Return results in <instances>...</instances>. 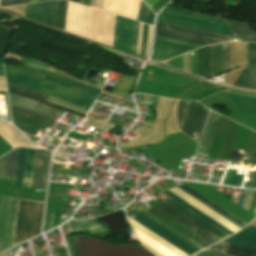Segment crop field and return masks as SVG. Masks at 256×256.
<instances>
[{
    "mask_svg": "<svg viewBox=\"0 0 256 256\" xmlns=\"http://www.w3.org/2000/svg\"><path fill=\"white\" fill-rule=\"evenodd\" d=\"M88 7L68 1L65 30L85 36ZM115 15L89 8L86 37L112 46Z\"/></svg>",
    "mask_w": 256,
    "mask_h": 256,
    "instance_id": "crop-field-1",
    "label": "crop field"
},
{
    "mask_svg": "<svg viewBox=\"0 0 256 256\" xmlns=\"http://www.w3.org/2000/svg\"><path fill=\"white\" fill-rule=\"evenodd\" d=\"M5 71L15 73V74H19V75H23V76H27V77H31V78H35V79H39V80L51 83L53 85H56V86H59V87H62V88H65V89H68V90H71V91L80 93L82 95H85V96L96 99V96L84 93L82 91H79V90H76V89L58 84V83H55L53 81H50V80H47V79H44V78H41V77H37V76H33V75H29V74H25V73H21V72H17V71H13V70L6 69V68H5ZM7 72H5L6 80H7V83H9V84H14V85H18V86H22V87H26V88L36 90L38 92H41V93H44L46 95L55 97L57 99H60V100H63L65 102L74 104L76 106L82 107V108L87 109V110H89V108L91 107V105L94 101V99L82 96L80 94H77V93H74V92L56 87V86H53V85L45 83V82L35 80V79H31V78H27V77H23V76H19V75H15V74H11V73H7Z\"/></svg>",
    "mask_w": 256,
    "mask_h": 256,
    "instance_id": "crop-field-2",
    "label": "crop field"
},
{
    "mask_svg": "<svg viewBox=\"0 0 256 256\" xmlns=\"http://www.w3.org/2000/svg\"><path fill=\"white\" fill-rule=\"evenodd\" d=\"M146 211H148L155 217L159 218L160 220H162L163 222H165L166 224H168L178 232L182 233L189 239H192L197 229L216 241L220 240L218 237L211 234L210 232H208L201 226L197 225L196 223H194L193 221L183 216L182 214H180L179 212H177L176 210L169 207L163 202L157 204L156 206ZM199 231H196L192 241H194L201 247L205 248L216 242Z\"/></svg>",
    "mask_w": 256,
    "mask_h": 256,
    "instance_id": "crop-field-3",
    "label": "crop field"
},
{
    "mask_svg": "<svg viewBox=\"0 0 256 256\" xmlns=\"http://www.w3.org/2000/svg\"><path fill=\"white\" fill-rule=\"evenodd\" d=\"M44 203L19 200L12 246L40 233Z\"/></svg>",
    "mask_w": 256,
    "mask_h": 256,
    "instance_id": "crop-field-4",
    "label": "crop field"
},
{
    "mask_svg": "<svg viewBox=\"0 0 256 256\" xmlns=\"http://www.w3.org/2000/svg\"><path fill=\"white\" fill-rule=\"evenodd\" d=\"M178 188L181 189L182 191L186 192L187 194H189L190 196H192L199 202L203 203L204 205H206L213 211L217 212L218 214H220L221 216H223L230 222L234 223L238 227L241 228L244 225H246L243 222H241L240 220H238L237 218H235L234 216H232L231 214H229L228 212H226L225 210H223L222 208H220L219 206L215 205L214 203H212L211 201H209L208 199H206L205 197H203L202 195H200L199 193H197L196 191H194L193 189L188 187L187 185L183 184L181 186H178ZM178 188L174 187L169 190L171 192H173L174 194H176L177 196H179L180 198H182L183 200H185L188 203H190L191 205H193L194 207H196L197 209H199L200 211H202L203 213H205L206 215H208L209 217H211L212 219H214L215 221L222 224L223 226H225L232 232L235 233L237 230L240 229L237 226H235L234 224H232L229 221H227L226 219H224L223 217H221L220 215H218L217 213L213 212L212 210H210L209 208L204 206L203 204L199 203L198 201H196L195 199H193L186 193L182 192Z\"/></svg>",
    "mask_w": 256,
    "mask_h": 256,
    "instance_id": "crop-field-5",
    "label": "crop field"
},
{
    "mask_svg": "<svg viewBox=\"0 0 256 256\" xmlns=\"http://www.w3.org/2000/svg\"><path fill=\"white\" fill-rule=\"evenodd\" d=\"M209 110L197 102L181 100L177 118L181 130L199 140Z\"/></svg>",
    "mask_w": 256,
    "mask_h": 256,
    "instance_id": "crop-field-6",
    "label": "crop field"
},
{
    "mask_svg": "<svg viewBox=\"0 0 256 256\" xmlns=\"http://www.w3.org/2000/svg\"><path fill=\"white\" fill-rule=\"evenodd\" d=\"M20 62L26 67V68H22V67H18V66H14V65H10V64H6L4 63V66L6 68H10V69H14V70H18V71H22V72H26V73H30V74H34V75H38V76H42L48 79H51L53 81L74 87L76 89L88 92L90 94L96 95L98 96V94L100 93L101 90L99 89H95L93 87L84 85L82 83H79L73 79H71L70 77L64 75L63 73L57 71L56 69L47 66V65H43L40 63H36L33 61H29L26 59H20Z\"/></svg>",
    "mask_w": 256,
    "mask_h": 256,
    "instance_id": "crop-field-7",
    "label": "crop field"
},
{
    "mask_svg": "<svg viewBox=\"0 0 256 256\" xmlns=\"http://www.w3.org/2000/svg\"><path fill=\"white\" fill-rule=\"evenodd\" d=\"M224 241L231 242L240 246L256 250V228L247 225L235 235L225 239ZM221 241L208 249L224 242ZM223 243L211 250L218 251L231 256H256V251L244 247H240L230 243Z\"/></svg>",
    "mask_w": 256,
    "mask_h": 256,
    "instance_id": "crop-field-8",
    "label": "crop field"
},
{
    "mask_svg": "<svg viewBox=\"0 0 256 256\" xmlns=\"http://www.w3.org/2000/svg\"><path fill=\"white\" fill-rule=\"evenodd\" d=\"M155 34L165 35L176 37L188 41H193L205 45L225 42V41H239L236 39H230L225 37H220L208 33L198 32L194 30L164 25V24H156Z\"/></svg>",
    "mask_w": 256,
    "mask_h": 256,
    "instance_id": "crop-field-9",
    "label": "crop field"
},
{
    "mask_svg": "<svg viewBox=\"0 0 256 256\" xmlns=\"http://www.w3.org/2000/svg\"><path fill=\"white\" fill-rule=\"evenodd\" d=\"M0 198H4V197H0ZM4 199H10V198H4ZM4 199H1V202H0V251L3 250V242H4V236H5V234H3V230H4L5 219H15L17 203H18V200L12 201L15 199H12V200H4ZM14 224H15V220H6L5 230H4V233H6L4 249L11 247Z\"/></svg>",
    "mask_w": 256,
    "mask_h": 256,
    "instance_id": "crop-field-10",
    "label": "crop field"
},
{
    "mask_svg": "<svg viewBox=\"0 0 256 256\" xmlns=\"http://www.w3.org/2000/svg\"><path fill=\"white\" fill-rule=\"evenodd\" d=\"M136 214L138 216L133 219H135L139 223L143 224L144 226H146L147 228H149L150 230H152L159 236L163 237L164 239H166L167 241H169L170 243H172L179 249L183 250L187 254L191 255V254L199 251L196 248H194L193 246H191L188 243H186L185 241H183L182 239H180L179 237L175 236L174 234H172L171 232L166 230L165 228H163L162 226L158 225L157 223H155L148 217L144 216L140 212H137Z\"/></svg>",
    "mask_w": 256,
    "mask_h": 256,
    "instance_id": "crop-field-11",
    "label": "crop field"
},
{
    "mask_svg": "<svg viewBox=\"0 0 256 256\" xmlns=\"http://www.w3.org/2000/svg\"><path fill=\"white\" fill-rule=\"evenodd\" d=\"M50 157V153L36 149L31 187L46 189Z\"/></svg>",
    "mask_w": 256,
    "mask_h": 256,
    "instance_id": "crop-field-12",
    "label": "crop field"
},
{
    "mask_svg": "<svg viewBox=\"0 0 256 256\" xmlns=\"http://www.w3.org/2000/svg\"><path fill=\"white\" fill-rule=\"evenodd\" d=\"M7 86H8V93H10V94H14V95H19V96L27 97V98L33 99V100H35V101H38V102L47 104V105H49V106H52V107L61 109V110H63V111H66V112L75 114V115H77V116L83 117V118L85 117V114H87V113H86L87 110H84V109H82V108H79V107L70 105V104H68V103H65V102H62V101H59V100H56V99L51 98V97H50V99H53V100H55V101H58V102L67 104V105H69V106H72V107L81 109V110L86 111V112H83V111H81V110H78V109L69 107V106H67V105H64V104H61V103H58V102H55V101L50 100V99H48V101H51V102L57 103V104H59V105H62V106H65V107H68V108L77 110V111L82 112V113H85V114H82V113L76 112V111H74V110H71V109H68V108H65V107L56 105V104H54V103H51V102H48V101H45V100H42V99H40V98L43 96V94L38 93V92H35V91H33V90H29V89L21 88V87H16V86L8 85V84H7Z\"/></svg>",
    "mask_w": 256,
    "mask_h": 256,
    "instance_id": "crop-field-13",
    "label": "crop field"
},
{
    "mask_svg": "<svg viewBox=\"0 0 256 256\" xmlns=\"http://www.w3.org/2000/svg\"><path fill=\"white\" fill-rule=\"evenodd\" d=\"M57 0L27 4L26 16L54 26Z\"/></svg>",
    "mask_w": 256,
    "mask_h": 256,
    "instance_id": "crop-field-14",
    "label": "crop field"
},
{
    "mask_svg": "<svg viewBox=\"0 0 256 256\" xmlns=\"http://www.w3.org/2000/svg\"><path fill=\"white\" fill-rule=\"evenodd\" d=\"M211 112L209 113L204 131H203V135L196 153L199 155H205V156L208 155L212 140L214 138V135L219 123L220 115L217 116L218 114L215 115L216 113L213 114L214 112L213 113Z\"/></svg>",
    "mask_w": 256,
    "mask_h": 256,
    "instance_id": "crop-field-15",
    "label": "crop field"
},
{
    "mask_svg": "<svg viewBox=\"0 0 256 256\" xmlns=\"http://www.w3.org/2000/svg\"><path fill=\"white\" fill-rule=\"evenodd\" d=\"M9 96V102L11 105L42 114L48 117H52V115L55 113L56 109H53L51 107L45 106L43 104L37 103L35 101L29 100L27 98L19 97L10 95Z\"/></svg>",
    "mask_w": 256,
    "mask_h": 256,
    "instance_id": "crop-field-16",
    "label": "crop field"
},
{
    "mask_svg": "<svg viewBox=\"0 0 256 256\" xmlns=\"http://www.w3.org/2000/svg\"><path fill=\"white\" fill-rule=\"evenodd\" d=\"M232 95L238 108L245 116L249 126L256 129V98Z\"/></svg>",
    "mask_w": 256,
    "mask_h": 256,
    "instance_id": "crop-field-17",
    "label": "crop field"
},
{
    "mask_svg": "<svg viewBox=\"0 0 256 256\" xmlns=\"http://www.w3.org/2000/svg\"><path fill=\"white\" fill-rule=\"evenodd\" d=\"M0 136L13 148L16 146L34 147L13 126L3 120H0Z\"/></svg>",
    "mask_w": 256,
    "mask_h": 256,
    "instance_id": "crop-field-18",
    "label": "crop field"
},
{
    "mask_svg": "<svg viewBox=\"0 0 256 256\" xmlns=\"http://www.w3.org/2000/svg\"><path fill=\"white\" fill-rule=\"evenodd\" d=\"M164 202H166L167 204H169L170 206H172L176 210L180 211L181 213H183L184 215H186L187 217H189L190 219H192L193 221H195L196 223H198L199 225H201L205 229L209 230L210 232H212L213 234L218 236L219 238L222 239V238L228 236L225 233H223L222 231H220L217 228H215L214 226H212L211 224H209L208 222L204 221L203 219H201L200 217L195 215L194 213L190 212L189 210H187L186 208H184L180 204L176 203L172 199L169 198V199L165 200Z\"/></svg>",
    "mask_w": 256,
    "mask_h": 256,
    "instance_id": "crop-field-19",
    "label": "crop field"
},
{
    "mask_svg": "<svg viewBox=\"0 0 256 256\" xmlns=\"http://www.w3.org/2000/svg\"><path fill=\"white\" fill-rule=\"evenodd\" d=\"M17 151L18 148L0 158V178L14 180Z\"/></svg>",
    "mask_w": 256,
    "mask_h": 256,
    "instance_id": "crop-field-20",
    "label": "crop field"
},
{
    "mask_svg": "<svg viewBox=\"0 0 256 256\" xmlns=\"http://www.w3.org/2000/svg\"><path fill=\"white\" fill-rule=\"evenodd\" d=\"M232 30L236 33L241 41L256 42V33L249 26L248 23H237L227 21Z\"/></svg>",
    "mask_w": 256,
    "mask_h": 256,
    "instance_id": "crop-field-21",
    "label": "crop field"
},
{
    "mask_svg": "<svg viewBox=\"0 0 256 256\" xmlns=\"http://www.w3.org/2000/svg\"><path fill=\"white\" fill-rule=\"evenodd\" d=\"M234 86L256 89V65L246 66Z\"/></svg>",
    "mask_w": 256,
    "mask_h": 256,
    "instance_id": "crop-field-22",
    "label": "crop field"
},
{
    "mask_svg": "<svg viewBox=\"0 0 256 256\" xmlns=\"http://www.w3.org/2000/svg\"><path fill=\"white\" fill-rule=\"evenodd\" d=\"M10 107H11V111L13 114L21 116V117L29 119V120H32V121H35L37 123L43 124L50 128H52L54 126V124L57 122V120L49 119V118L37 115L35 113L29 112V111H26V110H23V109H20V108L11 106V105H10Z\"/></svg>",
    "mask_w": 256,
    "mask_h": 256,
    "instance_id": "crop-field-23",
    "label": "crop field"
},
{
    "mask_svg": "<svg viewBox=\"0 0 256 256\" xmlns=\"http://www.w3.org/2000/svg\"><path fill=\"white\" fill-rule=\"evenodd\" d=\"M163 193L167 194L168 196H170L171 198H173L174 200H176L177 202H179L183 206L187 207L188 209H190L191 211H193L194 213H196L197 215H199L200 217H202L203 219H205L206 221H208L212 225L216 226L217 228H219L220 230L225 232L226 234H228V235L233 234L231 231H229L228 229H226L225 227H223L219 223L215 222L214 220H212L211 218H209L208 216H206L205 214H203L202 212H200L199 210H197L196 208H194L193 206H191L187 202L183 201L182 199H180L179 197H177L176 195H174L170 191L167 190Z\"/></svg>",
    "mask_w": 256,
    "mask_h": 256,
    "instance_id": "crop-field-24",
    "label": "crop field"
},
{
    "mask_svg": "<svg viewBox=\"0 0 256 256\" xmlns=\"http://www.w3.org/2000/svg\"><path fill=\"white\" fill-rule=\"evenodd\" d=\"M228 161L256 165V152L232 149Z\"/></svg>",
    "mask_w": 256,
    "mask_h": 256,
    "instance_id": "crop-field-25",
    "label": "crop field"
},
{
    "mask_svg": "<svg viewBox=\"0 0 256 256\" xmlns=\"http://www.w3.org/2000/svg\"><path fill=\"white\" fill-rule=\"evenodd\" d=\"M13 124L20 130L35 135L43 126L37 123L28 121L18 116L12 115Z\"/></svg>",
    "mask_w": 256,
    "mask_h": 256,
    "instance_id": "crop-field-26",
    "label": "crop field"
},
{
    "mask_svg": "<svg viewBox=\"0 0 256 256\" xmlns=\"http://www.w3.org/2000/svg\"><path fill=\"white\" fill-rule=\"evenodd\" d=\"M27 149L19 148L14 185L22 186Z\"/></svg>",
    "mask_w": 256,
    "mask_h": 256,
    "instance_id": "crop-field-27",
    "label": "crop field"
},
{
    "mask_svg": "<svg viewBox=\"0 0 256 256\" xmlns=\"http://www.w3.org/2000/svg\"><path fill=\"white\" fill-rule=\"evenodd\" d=\"M67 224L70 232L86 229V228H89L91 233L105 230L92 220L83 221V222L74 221V222H68Z\"/></svg>",
    "mask_w": 256,
    "mask_h": 256,
    "instance_id": "crop-field-28",
    "label": "crop field"
},
{
    "mask_svg": "<svg viewBox=\"0 0 256 256\" xmlns=\"http://www.w3.org/2000/svg\"><path fill=\"white\" fill-rule=\"evenodd\" d=\"M51 207L46 206L43 232L60 224V213L50 211Z\"/></svg>",
    "mask_w": 256,
    "mask_h": 256,
    "instance_id": "crop-field-29",
    "label": "crop field"
},
{
    "mask_svg": "<svg viewBox=\"0 0 256 256\" xmlns=\"http://www.w3.org/2000/svg\"><path fill=\"white\" fill-rule=\"evenodd\" d=\"M35 149H28L23 186L30 187Z\"/></svg>",
    "mask_w": 256,
    "mask_h": 256,
    "instance_id": "crop-field-30",
    "label": "crop field"
},
{
    "mask_svg": "<svg viewBox=\"0 0 256 256\" xmlns=\"http://www.w3.org/2000/svg\"><path fill=\"white\" fill-rule=\"evenodd\" d=\"M67 1L58 0L55 26L64 29Z\"/></svg>",
    "mask_w": 256,
    "mask_h": 256,
    "instance_id": "crop-field-31",
    "label": "crop field"
},
{
    "mask_svg": "<svg viewBox=\"0 0 256 256\" xmlns=\"http://www.w3.org/2000/svg\"><path fill=\"white\" fill-rule=\"evenodd\" d=\"M154 16L155 14L142 1L137 20L153 25Z\"/></svg>",
    "mask_w": 256,
    "mask_h": 256,
    "instance_id": "crop-field-32",
    "label": "crop field"
},
{
    "mask_svg": "<svg viewBox=\"0 0 256 256\" xmlns=\"http://www.w3.org/2000/svg\"><path fill=\"white\" fill-rule=\"evenodd\" d=\"M139 211H141L142 213H144L145 215H147L148 217H150L151 219L155 220L156 222H158L159 224H161L162 226H164L165 228H167L168 230H170L171 232H173L174 234H176L177 236H179L180 238H182L183 240L187 241L188 243H190L191 245H193L194 247H196L197 249L201 250L203 248H201L200 246H198L197 244L193 243L192 241H190L189 239H187L186 237H184L183 235L179 234L178 232H176L175 230H173L172 228H170L169 226H167L166 224L162 223L161 221H159L158 219H156L155 217H153L152 215L148 214L147 212H145L144 210L140 209Z\"/></svg>",
    "mask_w": 256,
    "mask_h": 256,
    "instance_id": "crop-field-33",
    "label": "crop field"
},
{
    "mask_svg": "<svg viewBox=\"0 0 256 256\" xmlns=\"http://www.w3.org/2000/svg\"><path fill=\"white\" fill-rule=\"evenodd\" d=\"M82 124L92 126V127H96V128H100V129L107 130V131H109L111 129V127L113 126V125H110L108 123L99 122V121L89 119V118H87L86 121Z\"/></svg>",
    "mask_w": 256,
    "mask_h": 256,
    "instance_id": "crop-field-34",
    "label": "crop field"
},
{
    "mask_svg": "<svg viewBox=\"0 0 256 256\" xmlns=\"http://www.w3.org/2000/svg\"><path fill=\"white\" fill-rule=\"evenodd\" d=\"M223 71L229 68V43L222 44Z\"/></svg>",
    "mask_w": 256,
    "mask_h": 256,
    "instance_id": "crop-field-35",
    "label": "crop field"
},
{
    "mask_svg": "<svg viewBox=\"0 0 256 256\" xmlns=\"http://www.w3.org/2000/svg\"><path fill=\"white\" fill-rule=\"evenodd\" d=\"M148 28L149 26L144 24L143 33H142V42H141V53H140L143 56H145L146 54Z\"/></svg>",
    "mask_w": 256,
    "mask_h": 256,
    "instance_id": "crop-field-36",
    "label": "crop field"
},
{
    "mask_svg": "<svg viewBox=\"0 0 256 256\" xmlns=\"http://www.w3.org/2000/svg\"><path fill=\"white\" fill-rule=\"evenodd\" d=\"M81 3L89 6L90 0H82ZM102 4L103 0H91L90 6L101 10Z\"/></svg>",
    "mask_w": 256,
    "mask_h": 256,
    "instance_id": "crop-field-37",
    "label": "crop field"
},
{
    "mask_svg": "<svg viewBox=\"0 0 256 256\" xmlns=\"http://www.w3.org/2000/svg\"><path fill=\"white\" fill-rule=\"evenodd\" d=\"M193 256H227V255L204 249V250L194 254Z\"/></svg>",
    "mask_w": 256,
    "mask_h": 256,
    "instance_id": "crop-field-38",
    "label": "crop field"
},
{
    "mask_svg": "<svg viewBox=\"0 0 256 256\" xmlns=\"http://www.w3.org/2000/svg\"><path fill=\"white\" fill-rule=\"evenodd\" d=\"M29 0H1L0 6H9L21 3H27Z\"/></svg>",
    "mask_w": 256,
    "mask_h": 256,
    "instance_id": "crop-field-39",
    "label": "crop field"
},
{
    "mask_svg": "<svg viewBox=\"0 0 256 256\" xmlns=\"http://www.w3.org/2000/svg\"><path fill=\"white\" fill-rule=\"evenodd\" d=\"M254 191L248 190L247 191V195H246V199L244 202V206L243 208H245L246 210H249V206L252 200V196H253Z\"/></svg>",
    "mask_w": 256,
    "mask_h": 256,
    "instance_id": "crop-field-40",
    "label": "crop field"
},
{
    "mask_svg": "<svg viewBox=\"0 0 256 256\" xmlns=\"http://www.w3.org/2000/svg\"><path fill=\"white\" fill-rule=\"evenodd\" d=\"M152 30H153V27L150 26L149 34H148V44H147V54H146V56H148L149 51H150L151 38H152Z\"/></svg>",
    "mask_w": 256,
    "mask_h": 256,
    "instance_id": "crop-field-41",
    "label": "crop field"
},
{
    "mask_svg": "<svg viewBox=\"0 0 256 256\" xmlns=\"http://www.w3.org/2000/svg\"><path fill=\"white\" fill-rule=\"evenodd\" d=\"M0 90L6 91L4 76H0Z\"/></svg>",
    "mask_w": 256,
    "mask_h": 256,
    "instance_id": "crop-field-42",
    "label": "crop field"
},
{
    "mask_svg": "<svg viewBox=\"0 0 256 256\" xmlns=\"http://www.w3.org/2000/svg\"><path fill=\"white\" fill-rule=\"evenodd\" d=\"M242 177L243 176L237 175L233 185L240 187L241 181H242Z\"/></svg>",
    "mask_w": 256,
    "mask_h": 256,
    "instance_id": "crop-field-43",
    "label": "crop field"
},
{
    "mask_svg": "<svg viewBox=\"0 0 256 256\" xmlns=\"http://www.w3.org/2000/svg\"><path fill=\"white\" fill-rule=\"evenodd\" d=\"M142 26H143V24L140 23L139 40H138V48H137V53L138 54L140 53V41H141Z\"/></svg>",
    "mask_w": 256,
    "mask_h": 256,
    "instance_id": "crop-field-44",
    "label": "crop field"
},
{
    "mask_svg": "<svg viewBox=\"0 0 256 256\" xmlns=\"http://www.w3.org/2000/svg\"><path fill=\"white\" fill-rule=\"evenodd\" d=\"M2 62L3 60H0V75H4L3 69H2Z\"/></svg>",
    "mask_w": 256,
    "mask_h": 256,
    "instance_id": "crop-field-45",
    "label": "crop field"
},
{
    "mask_svg": "<svg viewBox=\"0 0 256 256\" xmlns=\"http://www.w3.org/2000/svg\"><path fill=\"white\" fill-rule=\"evenodd\" d=\"M157 21H159V20H157ZM159 22H163V21H159ZM164 23H168V22H164ZM169 24H172V23H169ZM174 25H176V24H174ZM179 26H181V25H179ZM185 27V26H184ZM190 28V27H189ZM195 29V28H194ZM210 32V31H209ZM216 33V32H215ZM222 34V33H221ZM227 35V34H226ZM231 36H233V35H231ZM236 37V36H235Z\"/></svg>",
    "mask_w": 256,
    "mask_h": 256,
    "instance_id": "crop-field-46",
    "label": "crop field"
},
{
    "mask_svg": "<svg viewBox=\"0 0 256 256\" xmlns=\"http://www.w3.org/2000/svg\"><path fill=\"white\" fill-rule=\"evenodd\" d=\"M34 1H42V0H30V2H34Z\"/></svg>",
    "mask_w": 256,
    "mask_h": 256,
    "instance_id": "crop-field-47",
    "label": "crop field"
},
{
    "mask_svg": "<svg viewBox=\"0 0 256 256\" xmlns=\"http://www.w3.org/2000/svg\"><path fill=\"white\" fill-rule=\"evenodd\" d=\"M71 1H75V2H79L80 3L81 0H71Z\"/></svg>",
    "mask_w": 256,
    "mask_h": 256,
    "instance_id": "crop-field-48",
    "label": "crop field"
}]
</instances>
